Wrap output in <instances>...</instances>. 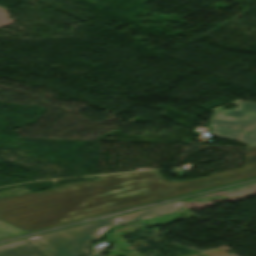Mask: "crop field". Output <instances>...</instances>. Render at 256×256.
Masks as SVG:
<instances>
[{
  "label": "crop field",
  "instance_id": "1",
  "mask_svg": "<svg viewBox=\"0 0 256 256\" xmlns=\"http://www.w3.org/2000/svg\"><path fill=\"white\" fill-rule=\"evenodd\" d=\"M255 176L256 147H247L243 168L198 179L166 181L152 170L2 197L0 221L29 232Z\"/></svg>",
  "mask_w": 256,
  "mask_h": 256
},
{
  "label": "crop field",
  "instance_id": "4",
  "mask_svg": "<svg viewBox=\"0 0 256 256\" xmlns=\"http://www.w3.org/2000/svg\"><path fill=\"white\" fill-rule=\"evenodd\" d=\"M21 233H25V232L15 227H12L10 225H7L3 222H0V238L21 234Z\"/></svg>",
  "mask_w": 256,
  "mask_h": 256
},
{
  "label": "crop field",
  "instance_id": "3",
  "mask_svg": "<svg viewBox=\"0 0 256 256\" xmlns=\"http://www.w3.org/2000/svg\"><path fill=\"white\" fill-rule=\"evenodd\" d=\"M235 110H215L210 129L217 138L236 139L256 146V103L237 102Z\"/></svg>",
  "mask_w": 256,
  "mask_h": 256
},
{
  "label": "crop field",
  "instance_id": "2",
  "mask_svg": "<svg viewBox=\"0 0 256 256\" xmlns=\"http://www.w3.org/2000/svg\"><path fill=\"white\" fill-rule=\"evenodd\" d=\"M179 206L183 205L176 202L9 243L0 246V256H88V246L109 228L171 212Z\"/></svg>",
  "mask_w": 256,
  "mask_h": 256
}]
</instances>
